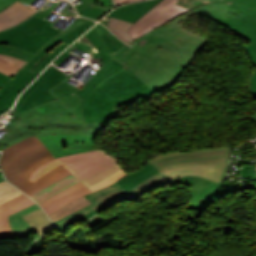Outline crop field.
Listing matches in <instances>:
<instances>
[{
  "label": "crop field",
  "mask_w": 256,
  "mask_h": 256,
  "mask_svg": "<svg viewBox=\"0 0 256 256\" xmlns=\"http://www.w3.org/2000/svg\"><path fill=\"white\" fill-rule=\"evenodd\" d=\"M101 53L105 65L78 92L82 102L85 135H45L38 138L55 158L98 149L94 138L122 105L157 96L134 73L164 43L129 44L128 47L97 23L85 34Z\"/></svg>",
  "instance_id": "8a807250"
},
{
  "label": "crop field",
  "mask_w": 256,
  "mask_h": 256,
  "mask_svg": "<svg viewBox=\"0 0 256 256\" xmlns=\"http://www.w3.org/2000/svg\"><path fill=\"white\" fill-rule=\"evenodd\" d=\"M230 147L204 149L181 153H167L149 160L160 172L148 178L130 191H125L116 182L88 195L93 204L74 212L56 222L57 227L84 215L104 204L110 205L122 200L137 199L148 190L164 185L183 176H199L221 184L226 173Z\"/></svg>",
  "instance_id": "ac0d7876"
},
{
  "label": "crop field",
  "mask_w": 256,
  "mask_h": 256,
  "mask_svg": "<svg viewBox=\"0 0 256 256\" xmlns=\"http://www.w3.org/2000/svg\"><path fill=\"white\" fill-rule=\"evenodd\" d=\"M80 89L60 82L48 90L57 100L35 106L23 113H9L10 122L2 130L0 150L28 136L45 134H84Z\"/></svg>",
  "instance_id": "34b2d1b8"
},
{
  "label": "crop field",
  "mask_w": 256,
  "mask_h": 256,
  "mask_svg": "<svg viewBox=\"0 0 256 256\" xmlns=\"http://www.w3.org/2000/svg\"><path fill=\"white\" fill-rule=\"evenodd\" d=\"M1 151L0 166L6 179L29 196L72 174L61 165L34 183L28 180L35 168L54 159L35 136Z\"/></svg>",
  "instance_id": "412701ff"
},
{
  "label": "crop field",
  "mask_w": 256,
  "mask_h": 256,
  "mask_svg": "<svg viewBox=\"0 0 256 256\" xmlns=\"http://www.w3.org/2000/svg\"><path fill=\"white\" fill-rule=\"evenodd\" d=\"M53 4L49 9L44 7L23 22L0 32V53L29 61L40 49L54 36L85 22L82 17H77L65 30H56L50 27L53 22L44 20L60 3ZM64 16H75L60 11Z\"/></svg>",
  "instance_id": "f4fd0767"
},
{
  "label": "crop field",
  "mask_w": 256,
  "mask_h": 256,
  "mask_svg": "<svg viewBox=\"0 0 256 256\" xmlns=\"http://www.w3.org/2000/svg\"><path fill=\"white\" fill-rule=\"evenodd\" d=\"M192 12L220 23L245 39L256 36V0H217Z\"/></svg>",
  "instance_id": "dd49c442"
},
{
  "label": "crop field",
  "mask_w": 256,
  "mask_h": 256,
  "mask_svg": "<svg viewBox=\"0 0 256 256\" xmlns=\"http://www.w3.org/2000/svg\"><path fill=\"white\" fill-rule=\"evenodd\" d=\"M194 15L193 13L185 14L181 17H178L169 24L163 27H158L153 31H150L143 36L137 38L134 43H154V42H166L178 52V55L181 59L182 64V74L187 70L192 63V58L199 53L206 44L210 41L204 38H201L200 33L197 31L188 32L185 30L182 24H178L181 19L185 20L187 16Z\"/></svg>",
  "instance_id": "e52e79f7"
},
{
  "label": "crop field",
  "mask_w": 256,
  "mask_h": 256,
  "mask_svg": "<svg viewBox=\"0 0 256 256\" xmlns=\"http://www.w3.org/2000/svg\"><path fill=\"white\" fill-rule=\"evenodd\" d=\"M117 162L118 160L103 150L90 151L55 159L35 169L29 180L34 182L45 173L61 164L71 171L75 177L81 180L87 176L102 171Z\"/></svg>",
  "instance_id": "d8731c3e"
},
{
  "label": "crop field",
  "mask_w": 256,
  "mask_h": 256,
  "mask_svg": "<svg viewBox=\"0 0 256 256\" xmlns=\"http://www.w3.org/2000/svg\"><path fill=\"white\" fill-rule=\"evenodd\" d=\"M181 71L176 50L165 43L135 74L158 92L176 79Z\"/></svg>",
  "instance_id": "5a996713"
},
{
  "label": "crop field",
  "mask_w": 256,
  "mask_h": 256,
  "mask_svg": "<svg viewBox=\"0 0 256 256\" xmlns=\"http://www.w3.org/2000/svg\"><path fill=\"white\" fill-rule=\"evenodd\" d=\"M95 24L89 20L53 38L24 68L39 74L60 52Z\"/></svg>",
  "instance_id": "3316defc"
},
{
  "label": "crop field",
  "mask_w": 256,
  "mask_h": 256,
  "mask_svg": "<svg viewBox=\"0 0 256 256\" xmlns=\"http://www.w3.org/2000/svg\"><path fill=\"white\" fill-rule=\"evenodd\" d=\"M65 78L64 74L50 65L22 94L14 108L21 113L32 106L55 99L47 90Z\"/></svg>",
  "instance_id": "28ad6ade"
},
{
  "label": "crop field",
  "mask_w": 256,
  "mask_h": 256,
  "mask_svg": "<svg viewBox=\"0 0 256 256\" xmlns=\"http://www.w3.org/2000/svg\"><path fill=\"white\" fill-rule=\"evenodd\" d=\"M176 0H162L129 29V35L134 40L153 28L189 11L175 5Z\"/></svg>",
  "instance_id": "d1516ede"
},
{
  "label": "crop field",
  "mask_w": 256,
  "mask_h": 256,
  "mask_svg": "<svg viewBox=\"0 0 256 256\" xmlns=\"http://www.w3.org/2000/svg\"><path fill=\"white\" fill-rule=\"evenodd\" d=\"M127 174L128 173L122 168L120 171H118L113 176H111V177H109V178L89 187V188L85 187L83 184H81L79 182L39 205L49 215L52 212H54L55 210H57L58 208L65 205L66 203H68L84 194L96 191V190L122 178L123 176H125Z\"/></svg>",
  "instance_id": "22f410ed"
},
{
  "label": "crop field",
  "mask_w": 256,
  "mask_h": 256,
  "mask_svg": "<svg viewBox=\"0 0 256 256\" xmlns=\"http://www.w3.org/2000/svg\"><path fill=\"white\" fill-rule=\"evenodd\" d=\"M171 183L192 185V201L189 207L191 210L203 211L221 199L216 195L220 185L210 180L189 176L179 178Z\"/></svg>",
  "instance_id": "cbeb9de0"
},
{
  "label": "crop field",
  "mask_w": 256,
  "mask_h": 256,
  "mask_svg": "<svg viewBox=\"0 0 256 256\" xmlns=\"http://www.w3.org/2000/svg\"><path fill=\"white\" fill-rule=\"evenodd\" d=\"M5 202H7L9 214L34 203L6 180L0 183V238H6L2 210V204Z\"/></svg>",
  "instance_id": "5142ce71"
},
{
  "label": "crop field",
  "mask_w": 256,
  "mask_h": 256,
  "mask_svg": "<svg viewBox=\"0 0 256 256\" xmlns=\"http://www.w3.org/2000/svg\"><path fill=\"white\" fill-rule=\"evenodd\" d=\"M36 76L23 68L16 73L0 90V107L7 104L11 108L17 96Z\"/></svg>",
  "instance_id": "d9b57169"
},
{
  "label": "crop field",
  "mask_w": 256,
  "mask_h": 256,
  "mask_svg": "<svg viewBox=\"0 0 256 256\" xmlns=\"http://www.w3.org/2000/svg\"><path fill=\"white\" fill-rule=\"evenodd\" d=\"M160 1L161 0H149L142 3L124 6L115 9L109 14V16L135 23Z\"/></svg>",
  "instance_id": "733c2abd"
},
{
  "label": "crop field",
  "mask_w": 256,
  "mask_h": 256,
  "mask_svg": "<svg viewBox=\"0 0 256 256\" xmlns=\"http://www.w3.org/2000/svg\"><path fill=\"white\" fill-rule=\"evenodd\" d=\"M35 12V10L22 5L19 1L11 4L0 13V31L20 23Z\"/></svg>",
  "instance_id": "4a817a6b"
},
{
  "label": "crop field",
  "mask_w": 256,
  "mask_h": 256,
  "mask_svg": "<svg viewBox=\"0 0 256 256\" xmlns=\"http://www.w3.org/2000/svg\"><path fill=\"white\" fill-rule=\"evenodd\" d=\"M156 172H158V170L148 163L140 170L130 173L122 179L118 180L117 183L128 191Z\"/></svg>",
  "instance_id": "bc2a9ffb"
},
{
  "label": "crop field",
  "mask_w": 256,
  "mask_h": 256,
  "mask_svg": "<svg viewBox=\"0 0 256 256\" xmlns=\"http://www.w3.org/2000/svg\"><path fill=\"white\" fill-rule=\"evenodd\" d=\"M24 220L31 225L39 235L53 229L54 225L41 208L22 215Z\"/></svg>",
  "instance_id": "214f88e0"
},
{
  "label": "crop field",
  "mask_w": 256,
  "mask_h": 256,
  "mask_svg": "<svg viewBox=\"0 0 256 256\" xmlns=\"http://www.w3.org/2000/svg\"><path fill=\"white\" fill-rule=\"evenodd\" d=\"M39 208L37 204L32 205L30 207H27L19 212H16L12 215L9 216L10 218V223L12 227V231L15 235V237H20V236H27L29 233L34 232L35 230L30 227L20 215L27 213L29 211H32L34 209Z\"/></svg>",
  "instance_id": "92a150f3"
},
{
  "label": "crop field",
  "mask_w": 256,
  "mask_h": 256,
  "mask_svg": "<svg viewBox=\"0 0 256 256\" xmlns=\"http://www.w3.org/2000/svg\"><path fill=\"white\" fill-rule=\"evenodd\" d=\"M85 36V35H84ZM86 37V36H85ZM79 50L94 57L99 58L102 60L100 53L93 45V43L86 37L82 41L78 40L73 46H71L68 50H66L57 60L53 63L59 66L63 61H65L73 52V50ZM103 61V60H102Z\"/></svg>",
  "instance_id": "dafd665d"
},
{
  "label": "crop field",
  "mask_w": 256,
  "mask_h": 256,
  "mask_svg": "<svg viewBox=\"0 0 256 256\" xmlns=\"http://www.w3.org/2000/svg\"><path fill=\"white\" fill-rule=\"evenodd\" d=\"M77 182L79 180L72 175L31 197L39 204Z\"/></svg>",
  "instance_id": "00972430"
},
{
  "label": "crop field",
  "mask_w": 256,
  "mask_h": 256,
  "mask_svg": "<svg viewBox=\"0 0 256 256\" xmlns=\"http://www.w3.org/2000/svg\"><path fill=\"white\" fill-rule=\"evenodd\" d=\"M91 204V202H89L86 198H84L83 196L66 204L65 206H63L62 208H60L59 210L55 211L54 213H52L50 216V218L54 221L76 211L79 210L87 205Z\"/></svg>",
  "instance_id": "a9b5d70f"
},
{
  "label": "crop field",
  "mask_w": 256,
  "mask_h": 256,
  "mask_svg": "<svg viewBox=\"0 0 256 256\" xmlns=\"http://www.w3.org/2000/svg\"><path fill=\"white\" fill-rule=\"evenodd\" d=\"M27 62L12 58L6 55L0 54V71L9 75L13 76L16 72H18Z\"/></svg>",
  "instance_id": "4177f3b9"
},
{
  "label": "crop field",
  "mask_w": 256,
  "mask_h": 256,
  "mask_svg": "<svg viewBox=\"0 0 256 256\" xmlns=\"http://www.w3.org/2000/svg\"><path fill=\"white\" fill-rule=\"evenodd\" d=\"M249 41L251 43L244 47V49H246L254 64V70L249 80V92L251 94V97H253L254 100H256V37L250 39Z\"/></svg>",
  "instance_id": "730fd06b"
},
{
  "label": "crop field",
  "mask_w": 256,
  "mask_h": 256,
  "mask_svg": "<svg viewBox=\"0 0 256 256\" xmlns=\"http://www.w3.org/2000/svg\"><path fill=\"white\" fill-rule=\"evenodd\" d=\"M131 25L132 23H128L110 17L108 29L125 42H131L133 40L128 35V29L130 28Z\"/></svg>",
  "instance_id": "eef30255"
},
{
  "label": "crop field",
  "mask_w": 256,
  "mask_h": 256,
  "mask_svg": "<svg viewBox=\"0 0 256 256\" xmlns=\"http://www.w3.org/2000/svg\"><path fill=\"white\" fill-rule=\"evenodd\" d=\"M122 167L117 163L116 165L102 171L99 172L95 175H92L88 178H85L83 180H81L80 182H82L84 185H86L87 187L113 175L115 172H117L119 169H121Z\"/></svg>",
  "instance_id": "ae1a2a85"
},
{
  "label": "crop field",
  "mask_w": 256,
  "mask_h": 256,
  "mask_svg": "<svg viewBox=\"0 0 256 256\" xmlns=\"http://www.w3.org/2000/svg\"><path fill=\"white\" fill-rule=\"evenodd\" d=\"M112 8L113 7H108V6H94V5H91L87 9V11L83 14V16L98 20L99 18L103 17Z\"/></svg>",
  "instance_id": "d3111659"
},
{
  "label": "crop field",
  "mask_w": 256,
  "mask_h": 256,
  "mask_svg": "<svg viewBox=\"0 0 256 256\" xmlns=\"http://www.w3.org/2000/svg\"><path fill=\"white\" fill-rule=\"evenodd\" d=\"M212 0H177V5L189 10L198 4H203Z\"/></svg>",
  "instance_id": "750c4746"
},
{
  "label": "crop field",
  "mask_w": 256,
  "mask_h": 256,
  "mask_svg": "<svg viewBox=\"0 0 256 256\" xmlns=\"http://www.w3.org/2000/svg\"><path fill=\"white\" fill-rule=\"evenodd\" d=\"M106 207H108V206H107V205H104V206H102V207H100V208H98V209H96V210H94V211H92V212H90V213H88V214L82 216V217H79V218H77V219H75V220H73V221H71V222H69V223H67V224H65V225H63V226H61V227H59V229H60V230H64L67 226H69L71 223H73V222H75V221L88 220V219H90L91 217H93L94 215H96L97 213H99L100 211H102L103 209H105Z\"/></svg>",
  "instance_id": "bd1437ed"
},
{
  "label": "crop field",
  "mask_w": 256,
  "mask_h": 256,
  "mask_svg": "<svg viewBox=\"0 0 256 256\" xmlns=\"http://www.w3.org/2000/svg\"><path fill=\"white\" fill-rule=\"evenodd\" d=\"M3 209H4V220H5V228H6L7 238H11V237H14V236H13L12 231H11L6 204L3 205Z\"/></svg>",
  "instance_id": "1d83c4d3"
},
{
  "label": "crop field",
  "mask_w": 256,
  "mask_h": 256,
  "mask_svg": "<svg viewBox=\"0 0 256 256\" xmlns=\"http://www.w3.org/2000/svg\"><path fill=\"white\" fill-rule=\"evenodd\" d=\"M82 3H83V4H81V5H79V6H78V4L75 5V8H76L78 14H81V15H82V14L86 11V9L90 6V4H87V3H84V2H82Z\"/></svg>",
  "instance_id": "120bbe31"
},
{
  "label": "crop field",
  "mask_w": 256,
  "mask_h": 256,
  "mask_svg": "<svg viewBox=\"0 0 256 256\" xmlns=\"http://www.w3.org/2000/svg\"><path fill=\"white\" fill-rule=\"evenodd\" d=\"M15 1L17 0H0V11H2L4 8H6L8 5Z\"/></svg>",
  "instance_id": "d32e631a"
},
{
  "label": "crop field",
  "mask_w": 256,
  "mask_h": 256,
  "mask_svg": "<svg viewBox=\"0 0 256 256\" xmlns=\"http://www.w3.org/2000/svg\"><path fill=\"white\" fill-rule=\"evenodd\" d=\"M10 77L0 73V89L6 84Z\"/></svg>",
  "instance_id": "5866460e"
},
{
  "label": "crop field",
  "mask_w": 256,
  "mask_h": 256,
  "mask_svg": "<svg viewBox=\"0 0 256 256\" xmlns=\"http://www.w3.org/2000/svg\"><path fill=\"white\" fill-rule=\"evenodd\" d=\"M98 5L113 6V2H112V0H99Z\"/></svg>",
  "instance_id": "028f5c9d"
},
{
  "label": "crop field",
  "mask_w": 256,
  "mask_h": 256,
  "mask_svg": "<svg viewBox=\"0 0 256 256\" xmlns=\"http://www.w3.org/2000/svg\"><path fill=\"white\" fill-rule=\"evenodd\" d=\"M8 109H10L7 105L0 108V115L3 114L5 111H7Z\"/></svg>",
  "instance_id": "e1f06a70"
},
{
  "label": "crop field",
  "mask_w": 256,
  "mask_h": 256,
  "mask_svg": "<svg viewBox=\"0 0 256 256\" xmlns=\"http://www.w3.org/2000/svg\"><path fill=\"white\" fill-rule=\"evenodd\" d=\"M82 1L87 2V3H90V4H95V5H97V1H98V0H82Z\"/></svg>",
  "instance_id": "0bd39190"
},
{
  "label": "crop field",
  "mask_w": 256,
  "mask_h": 256,
  "mask_svg": "<svg viewBox=\"0 0 256 256\" xmlns=\"http://www.w3.org/2000/svg\"><path fill=\"white\" fill-rule=\"evenodd\" d=\"M108 22H109V17L101 21V23L104 24L105 26H108Z\"/></svg>",
  "instance_id": "b80d0937"
},
{
  "label": "crop field",
  "mask_w": 256,
  "mask_h": 256,
  "mask_svg": "<svg viewBox=\"0 0 256 256\" xmlns=\"http://www.w3.org/2000/svg\"><path fill=\"white\" fill-rule=\"evenodd\" d=\"M21 2L27 3L29 5H31L33 3L34 0H19Z\"/></svg>",
  "instance_id": "c035e120"
},
{
  "label": "crop field",
  "mask_w": 256,
  "mask_h": 256,
  "mask_svg": "<svg viewBox=\"0 0 256 256\" xmlns=\"http://www.w3.org/2000/svg\"><path fill=\"white\" fill-rule=\"evenodd\" d=\"M122 0H114L116 6L121 5Z\"/></svg>",
  "instance_id": "c21b1889"
},
{
  "label": "crop field",
  "mask_w": 256,
  "mask_h": 256,
  "mask_svg": "<svg viewBox=\"0 0 256 256\" xmlns=\"http://www.w3.org/2000/svg\"><path fill=\"white\" fill-rule=\"evenodd\" d=\"M131 1H136V0H124L123 4L127 3V2H131Z\"/></svg>",
  "instance_id": "03da06ac"
},
{
  "label": "crop field",
  "mask_w": 256,
  "mask_h": 256,
  "mask_svg": "<svg viewBox=\"0 0 256 256\" xmlns=\"http://www.w3.org/2000/svg\"><path fill=\"white\" fill-rule=\"evenodd\" d=\"M5 178H4V176H3V174L1 173L0 174V181H2V180H4Z\"/></svg>",
  "instance_id": "b54c1fbb"
},
{
  "label": "crop field",
  "mask_w": 256,
  "mask_h": 256,
  "mask_svg": "<svg viewBox=\"0 0 256 256\" xmlns=\"http://www.w3.org/2000/svg\"><path fill=\"white\" fill-rule=\"evenodd\" d=\"M251 118L256 121V114H254ZM255 121H254V122H255ZM255 123H256V122H255Z\"/></svg>",
  "instance_id": "5d738f31"
},
{
  "label": "crop field",
  "mask_w": 256,
  "mask_h": 256,
  "mask_svg": "<svg viewBox=\"0 0 256 256\" xmlns=\"http://www.w3.org/2000/svg\"><path fill=\"white\" fill-rule=\"evenodd\" d=\"M0 173H1V171H0Z\"/></svg>",
  "instance_id": "d23c7cc5"
}]
</instances>
